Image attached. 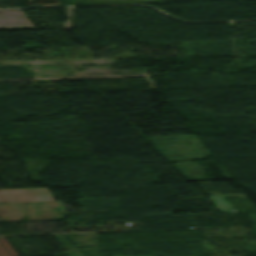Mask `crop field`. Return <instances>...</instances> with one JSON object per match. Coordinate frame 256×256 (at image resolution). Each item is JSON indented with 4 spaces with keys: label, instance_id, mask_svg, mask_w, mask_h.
Masks as SVG:
<instances>
[{
    "label": "crop field",
    "instance_id": "obj_1",
    "mask_svg": "<svg viewBox=\"0 0 256 256\" xmlns=\"http://www.w3.org/2000/svg\"><path fill=\"white\" fill-rule=\"evenodd\" d=\"M0 240L3 242V244L6 246V248L9 250V252L12 254V256H18L17 253L12 249V247L8 244V242L5 240L4 237H0ZM1 242V243H2ZM4 246V247H5Z\"/></svg>",
    "mask_w": 256,
    "mask_h": 256
},
{
    "label": "crop field",
    "instance_id": "obj_2",
    "mask_svg": "<svg viewBox=\"0 0 256 256\" xmlns=\"http://www.w3.org/2000/svg\"><path fill=\"white\" fill-rule=\"evenodd\" d=\"M0 256H10L6 249L0 243Z\"/></svg>",
    "mask_w": 256,
    "mask_h": 256
}]
</instances>
